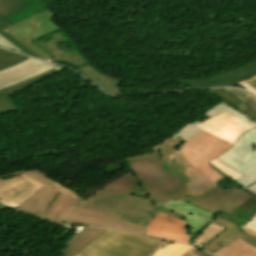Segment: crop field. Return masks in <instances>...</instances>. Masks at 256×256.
<instances>
[{"label": "crop field", "instance_id": "obj_5", "mask_svg": "<svg viewBox=\"0 0 256 256\" xmlns=\"http://www.w3.org/2000/svg\"><path fill=\"white\" fill-rule=\"evenodd\" d=\"M218 159L243 174L236 181L256 193V129L241 135L232 148Z\"/></svg>", "mask_w": 256, "mask_h": 256}, {"label": "crop field", "instance_id": "obj_32", "mask_svg": "<svg viewBox=\"0 0 256 256\" xmlns=\"http://www.w3.org/2000/svg\"><path fill=\"white\" fill-rule=\"evenodd\" d=\"M241 228H242V230H243L244 232H246V233H248V234H250V235L256 237V232L251 231V230H249V229H247V228H245V227H241Z\"/></svg>", "mask_w": 256, "mask_h": 256}, {"label": "crop field", "instance_id": "obj_18", "mask_svg": "<svg viewBox=\"0 0 256 256\" xmlns=\"http://www.w3.org/2000/svg\"><path fill=\"white\" fill-rule=\"evenodd\" d=\"M75 197L60 192L53 200L41 218L53 221L55 217L74 199Z\"/></svg>", "mask_w": 256, "mask_h": 256}, {"label": "crop field", "instance_id": "obj_24", "mask_svg": "<svg viewBox=\"0 0 256 256\" xmlns=\"http://www.w3.org/2000/svg\"><path fill=\"white\" fill-rule=\"evenodd\" d=\"M214 168H216L218 171H220L222 174H224L225 176H230L233 179H238L239 177L243 176L241 174H239L238 172H236L235 170L229 168L228 166H226L224 163H222L221 161H219L218 159H213L211 162H209Z\"/></svg>", "mask_w": 256, "mask_h": 256}, {"label": "crop field", "instance_id": "obj_7", "mask_svg": "<svg viewBox=\"0 0 256 256\" xmlns=\"http://www.w3.org/2000/svg\"><path fill=\"white\" fill-rule=\"evenodd\" d=\"M48 8L41 0H0V32Z\"/></svg>", "mask_w": 256, "mask_h": 256}, {"label": "crop field", "instance_id": "obj_11", "mask_svg": "<svg viewBox=\"0 0 256 256\" xmlns=\"http://www.w3.org/2000/svg\"><path fill=\"white\" fill-rule=\"evenodd\" d=\"M212 224L218 225V226H223L226 229L221 232L218 236L213 238L211 241H209L206 245H204L201 249L209 252V253H214L221 247H225L237 238L243 239L245 242L253 245L256 247V239L245 234L240 226H237L231 222H228L220 217H216V219L211 222Z\"/></svg>", "mask_w": 256, "mask_h": 256}, {"label": "crop field", "instance_id": "obj_12", "mask_svg": "<svg viewBox=\"0 0 256 256\" xmlns=\"http://www.w3.org/2000/svg\"><path fill=\"white\" fill-rule=\"evenodd\" d=\"M256 74V62L244 66L239 69H235L219 76L204 79L202 81L188 82L178 80L192 88L203 87H220V86H234L239 82Z\"/></svg>", "mask_w": 256, "mask_h": 256}, {"label": "crop field", "instance_id": "obj_29", "mask_svg": "<svg viewBox=\"0 0 256 256\" xmlns=\"http://www.w3.org/2000/svg\"><path fill=\"white\" fill-rule=\"evenodd\" d=\"M243 87H245L247 90L253 92L256 94V90L251 86L249 85L248 83H246L245 81L240 83Z\"/></svg>", "mask_w": 256, "mask_h": 256}, {"label": "crop field", "instance_id": "obj_28", "mask_svg": "<svg viewBox=\"0 0 256 256\" xmlns=\"http://www.w3.org/2000/svg\"><path fill=\"white\" fill-rule=\"evenodd\" d=\"M245 227L256 231V216L248 224H246Z\"/></svg>", "mask_w": 256, "mask_h": 256}, {"label": "crop field", "instance_id": "obj_37", "mask_svg": "<svg viewBox=\"0 0 256 256\" xmlns=\"http://www.w3.org/2000/svg\"><path fill=\"white\" fill-rule=\"evenodd\" d=\"M159 155V154H158ZM160 156V155H159ZM161 158V157H160Z\"/></svg>", "mask_w": 256, "mask_h": 256}, {"label": "crop field", "instance_id": "obj_3", "mask_svg": "<svg viewBox=\"0 0 256 256\" xmlns=\"http://www.w3.org/2000/svg\"><path fill=\"white\" fill-rule=\"evenodd\" d=\"M231 144L204 131L184 142L177 150L213 186L215 181L225 177L208 162L224 153Z\"/></svg>", "mask_w": 256, "mask_h": 256}, {"label": "crop field", "instance_id": "obj_19", "mask_svg": "<svg viewBox=\"0 0 256 256\" xmlns=\"http://www.w3.org/2000/svg\"><path fill=\"white\" fill-rule=\"evenodd\" d=\"M225 228L218 227L212 224H209L191 243L195 247L200 248L217 234H219Z\"/></svg>", "mask_w": 256, "mask_h": 256}, {"label": "crop field", "instance_id": "obj_21", "mask_svg": "<svg viewBox=\"0 0 256 256\" xmlns=\"http://www.w3.org/2000/svg\"><path fill=\"white\" fill-rule=\"evenodd\" d=\"M224 111H227V112L231 113L232 115H234V116H236V117H238V118H240V119H242V120H244V121H246V122H248V123H250V124L256 126V123H255V122H253L252 120L246 118V117L243 116L241 113H239V112L233 110L232 108H230L229 106L225 105V104L222 103V102H221L220 104L216 105V106H215L214 108H212L211 110L205 112V115H207V116H209V117H212V116H215V115H217V114H219V113H222V112H224Z\"/></svg>", "mask_w": 256, "mask_h": 256}, {"label": "crop field", "instance_id": "obj_30", "mask_svg": "<svg viewBox=\"0 0 256 256\" xmlns=\"http://www.w3.org/2000/svg\"><path fill=\"white\" fill-rule=\"evenodd\" d=\"M245 81L250 83L254 88H256V76H254L248 80H245Z\"/></svg>", "mask_w": 256, "mask_h": 256}, {"label": "crop field", "instance_id": "obj_6", "mask_svg": "<svg viewBox=\"0 0 256 256\" xmlns=\"http://www.w3.org/2000/svg\"><path fill=\"white\" fill-rule=\"evenodd\" d=\"M54 14L48 10L41 14L32 16L24 21H21L6 30L9 35L18 40L20 43L28 47L34 53H36L41 58H49L48 54L32 45L28 41L35 39L39 36L51 33L53 31L59 30L58 26H56L53 22Z\"/></svg>", "mask_w": 256, "mask_h": 256}, {"label": "crop field", "instance_id": "obj_20", "mask_svg": "<svg viewBox=\"0 0 256 256\" xmlns=\"http://www.w3.org/2000/svg\"><path fill=\"white\" fill-rule=\"evenodd\" d=\"M189 248L191 247L178 243L165 244L154 256H181Z\"/></svg>", "mask_w": 256, "mask_h": 256}, {"label": "crop field", "instance_id": "obj_13", "mask_svg": "<svg viewBox=\"0 0 256 256\" xmlns=\"http://www.w3.org/2000/svg\"><path fill=\"white\" fill-rule=\"evenodd\" d=\"M58 193L59 191L52 188L42 187L28 200L16 207V209L40 217ZM39 203H42V205H38Z\"/></svg>", "mask_w": 256, "mask_h": 256}, {"label": "crop field", "instance_id": "obj_14", "mask_svg": "<svg viewBox=\"0 0 256 256\" xmlns=\"http://www.w3.org/2000/svg\"><path fill=\"white\" fill-rule=\"evenodd\" d=\"M55 73H57V71L52 69L40 76H37L35 78L24 81L17 85L0 90V115L18 110L17 107L14 105V103L9 98V95H13L29 86L35 84L36 82H38L50 75L55 74Z\"/></svg>", "mask_w": 256, "mask_h": 256}, {"label": "crop field", "instance_id": "obj_25", "mask_svg": "<svg viewBox=\"0 0 256 256\" xmlns=\"http://www.w3.org/2000/svg\"><path fill=\"white\" fill-rule=\"evenodd\" d=\"M229 91L232 95L236 96L239 98L242 102H244L246 105L250 106L252 109L256 110V98L253 96L238 90V89H226ZM254 110V111H255Z\"/></svg>", "mask_w": 256, "mask_h": 256}, {"label": "crop field", "instance_id": "obj_15", "mask_svg": "<svg viewBox=\"0 0 256 256\" xmlns=\"http://www.w3.org/2000/svg\"><path fill=\"white\" fill-rule=\"evenodd\" d=\"M98 84L102 89L110 94H120V89H118V80L103 76L98 71H96L92 66L89 64L76 69Z\"/></svg>", "mask_w": 256, "mask_h": 256}, {"label": "crop field", "instance_id": "obj_2", "mask_svg": "<svg viewBox=\"0 0 256 256\" xmlns=\"http://www.w3.org/2000/svg\"><path fill=\"white\" fill-rule=\"evenodd\" d=\"M167 242L132 233L106 230L73 256H151Z\"/></svg>", "mask_w": 256, "mask_h": 256}, {"label": "crop field", "instance_id": "obj_9", "mask_svg": "<svg viewBox=\"0 0 256 256\" xmlns=\"http://www.w3.org/2000/svg\"><path fill=\"white\" fill-rule=\"evenodd\" d=\"M51 68L58 72L64 69L63 67L29 58L15 66L0 71V89L35 77Z\"/></svg>", "mask_w": 256, "mask_h": 256}, {"label": "crop field", "instance_id": "obj_1", "mask_svg": "<svg viewBox=\"0 0 256 256\" xmlns=\"http://www.w3.org/2000/svg\"><path fill=\"white\" fill-rule=\"evenodd\" d=\"M183 142L168 138L155 147L162 149L159 152L169 168L155 149V153L125 159L129 173L87 200L76 197L54 222L69 226L77 222L145 235L157 211L183 219L168 211L171 209L184 215L192 236L216 213L231 214L249 198L236 186L225 191L211 186L176 150Z\"/></svg>", "mask_w": 256, "mask_h": 256}, {"label": "crop field", "instance_id": "obj_4", "mask_svg": "<svg viewBox=\"0 0 256 256\" xmlns=\"http://www.w3.org/2000/svg\"><path fill=\"white\" fill-rule=\"evenodd\" d=\"M19 172L22 174L21 176L0 183V201L13 208L33 195L42 186L52 187L70 195L77 196V194L73 193L74 191L71 192L72 190L69 191L70 189L68 190L62 187L63 185L61 186L57 184L58 182H54L38 170H23ZM19 172L0 176V178L14 175Z\"/></svg>", "mask_w": 256, "mask_h": 256}, {"label": "crop field", "instance_id": "obj_34", "mask_svg": "<svg viewBox=\"0 0 256 256\" xmlns=\"http://www.w3.org/2000/svg\"><path fill=\"white\" fill-rule=\"evenodd\" d=\"M243 192L246 193V194H248V195H250V196H252V197H254V198L256 199V195L253 194L252 192L248 191L247 189L244 188V189H243Z\"/></svg>", "mask_w": 256, "mask_h": 256}, {"label": "crop field", "instance_id": "obj_27", "mask_svg": "<svg viewBox=\"0 0 256 256\" xmlns=\"http://www.w3.org/2000/svg\"><path fill=\"white\" fill-rule=\"evenodd\" d=\"M0 46L21 52L18 48H16L14 45H12L10 42H8L2 36H0Z\"/></svg>", "mask_w": 256, "mask_h": 256}, {"label": "crop field", "instance_id": "obj_26", "mask_svg": "<svg viewBox=\"0 0 256 256\" xmlns=\"http://www.w3.org/2000/svg\"><path fill=\"white\" fill-rule=\"evenodd\" d=\"M4 38H6L8 41H10L12 44H14L16 47H18L21 51H23L25 54L30 55V56H34V57H38L37 55H35L33 52H31L29 49H27L25 46H23L22 44H20L18 41H16L15 39H13L11 36H9L7 33H5L4 31L0 33ZM39 58V57H38Z\"/></svg>", "mask_w": 256, "mask_h": 256}, {"label": "crop field", "instance_id": "obj_8", "mask_svg": "<svg viewBox=\"0 0 256 256\" xmlns=\"http://www.w3.org/2000/svg\"><path fill=\"white\" fill-rule=\"evenodd\" d=\"M231 144L244 131L255 128L252 125L224 112L213 118H209L196 126Z\"/></svg>", "mask_w": 256, "mask_h": 256}, {"label": "crop field", "instance_id": "obj_33", "mask_svg": "<svg viewBox=\"0 0 256 256\" xmlns=\"http://www.w3.org/2000/svg\"><path fill=\"white\" fill-rule=\"evenodd\" d=\"M193 252H195L196 254H198V255H200V256H210V255H208V254H206V253H204V252H202V251H200V250H198V249H196V250L193 251Z\"/></svg>", "mask_w": 256, "mask_h": 256}, {"label": "crop field", "instance_id": "obj_10", "mask_svg": "<svg viewBox=\"0 0 256 256\" xmlns=\"http://www.w3.org/2000/svg\"><path fill=\"white\" fill-rule=\"evenodd\" d=\"M146 235L187 244L189 235L183 220L157 212L147 227Z\"/></svg>", "mask_w": 256, "mask_h": 256}, {"label": "crop field", "instance_id": "obj_16", "mask_svg": "<svg viewBox=\"0 0 256 256\" xmlns=\"http://www.w3.org/2000/svg\"><path fill=\"white\" fill-rule=\"evenodd\" d=\"M103 231L104 229L82 228L81 231L77 234V236L67 246L66 250H61V254L66 256H72L80 248H82L84 245H86L88 242H90L93 238H95L98 234H100Z\"/></svg>", "mask_w": 256, "mask_h": 256}, {"label": "crop field", "instance_id": "obj_23", "mask_svg": "<svg viewBox=\"0 0 256 256\" xmlns=\"http://www.w3.org/2000/svg\"><path fill=\"white\" fill-rule=\"evenodd\" d=\"M198 124L199 122L197 121L194 122L193 124H188L185 127H183L181 130H179L177 133H175L173 136H171L170 138L175 140L178 137H180L181 139L186 141L190 139L192 136H194L196 133L201 131L200 129L195 127Z\"/></svg>", "mask_w": 256, "mask_h": 256}, {"label": "crop field", "instance_id": "obj_31", "mask_svg": "<svg viewBox=\"0 0 256 256\" xmlns=\"http://www.w3.org/2000/svg\"><path fill=\"white\" fill-rule=\"evenodd\" d=\"M195 248H191L190 250H188L185 254H183L182 256H198L196 255L195 253H193L192 251L194 250Z\"/></svg>", "mask_w": 256, "mask_h": 256}, {"label": "crop field", "instance_id": "obj_35", "mask_svg": "<svg viewBox=\"0 0 256 256\" xmlns=\"http://www.w3.org/2000/svg\"><path fill=\"white\" fill-rule=\"evenodd\" d=\"M5 208H9V207L0 202V210H1V209H5Z\"/></svg>", "mask_w": 256, "mask_h": 256}, {"label": "crop field", "instance_id": "obj_22", "mask_svg": "<svg viewBox=\"0 0 256 256\" xmlns=\"http://www.w3.org/2000/svg\"><path fill=\"white\" fill-rule=\"evenodd\" d=\"M28 57L0 49V70L10 67Z\"/></svg>", "mask_w": 256, "mask_h": 256}, {"label": "crop field", "instance_id": "obj_17", "mask_svg": "<svg viewBox=\"0 0 256 256\" xmlns=\"http://www.w3.org/2000/svg\"><path fill=\"white\" fill-rule=\"evenodd\" d=\"M214 256H256V248L240 238L213 254Z\"/></svg>", "mask_w": 256, "mask_h": 256}, {"label": "crop field", "instance_id": "obj_36", "mask_svg": "<svg viewBox=\"0 0 256 256\" xmlns=\"http://www.w3.org/2000/svg\"><path fill=\"white\" fill-rule=\"evenodd\" d=\"M156 150L158 151V150H160V149L158 148V149H156Z\"/></svg>", "mask_w": 256, "mask_h": 256}]
</instances>
